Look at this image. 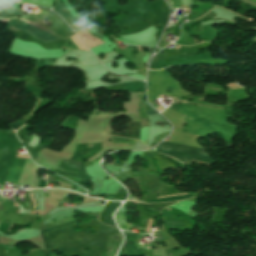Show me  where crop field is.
Returning a JSON list of instances; mask_svg holds the SVG:
<instances>
[{
	"label": "crop field",
	"instance_id": "crop-field-1",
	"mask_svg": "<svg viewBox=\"0 0 256 256\" xmlns=\"http://www.w3.org/2000/svg\"><path fill=\"white\" fill-rule=\"evenodd\" d=\"M158 147L181 151V152L193 153V154L207 155V153L204 152V149L170 143V142H162L161 144L158 145ZM160 148L157 149L158 152L168 155V156H171V157H174L184 163L198 162V163H203V164H208V165L214 163L213 160H211L209 158V156L186 154V153L170 151V150H165V149H160Z\"/></svg>",
	"mask_w": 256,
	"mask_h": 256
},
{
	"label": "crop field",
	"instance_id": "crop-field-2",
	"mask_svg": "<svg viewBox=\"0 0 256 256\" xmlns=\"http://www.w3.org/2000/svg\"><path fill=\"white\" fill-rule=\"evenodd\" d=\"M40 13H42L46 16L49 14V12H47L45 10H41ZM6 23H9L28 34L41 39L45 43L50 42V41H55V40H61V38L47 32V31H45L27 21L25 22L19 18H15L12 20H6Z\"/></svg>",
	"mask_w": 256,
	"mask_h": 256
},
{
	"label": "crop field",
	"instance_id": "crop-field-3",
	"mask_svg": "<svg viewBox=\"0 0 256 256\" xmlns=\"http://www.w3.org/2000/svg\"><path fill=\"white\" fill-rule=\"evenodd\" d=\"M140 122H131L128 123V127L131 129L129 132H125L126 135H120L117 133L112 132L111 135H117V136H122L126 138H134V139H139V134H140V128H139ZM117 136H110V139H112L114 144H135L136 141L138 140H133V139H126L122 137H117Z\"/></svg>",
	"mask_w": 256,
	"mask_h": 256
},
{
	"label": "crop field",
	"instance_id": "crop-field-4",
	"mask_svg": "<svg viewBox=\"0 0 256 256\" xmlns=\"http://www.w3.org/2000/svg\"><path fill=\"white\" fill-rule=\"evenodd\" d=\"M53 10L57 12L76 33L84 29L76 20H74L68 14L67 9L64 7V5L61 4L60 1H57L56 6Z\"/></svg>",
	"mask_w": 256,
	"mask_h": 256
},
{
	"label": "crop field",
	"instance_id": "crop-field-5",
	"mask_svg": "<svg viewBox=\"0 0 256 256\" xmlns=\"http://www.w3.org/2000/svg\"><path fill=\"white\" fill-rule=\"evenodd\" d=\"M120 205H121V203H119V202H108L107 206L105 207L103 212L100 214L99 220L109 226H113V227L117 228L114 223V220L112 218V213Z\"/></svg>",
	"mask_w": 256,
	"mask_h": 256
},
{
	"label": "crop field",
	"instance_id": "crop-field-6",
	"mask_svg": "<svg viewBox=\"0 0 256 256\" xmlns=\"http://www.w3.org/2000/svg\"><path fill=\"white\" fill-rule=\"evenodd\" d=\"M78 35L86 43V45L88 47H90V48H92V47H94L96 45L104 43L103 41H101L97 37L91 35L87 30H84V31L78 33Z\"/></svg>",
	"mask_w": 256,
	"mask_h": 256
},
{
	"label": "crop field",
	"instance_id": "crop-field-7",
	"mask_svg": "<svg viewBox=\"0 0 256 256\" xmlns=\"http://www.w3.org/2000/svg\"><path fill=\"white\" fill-rule=\"evenodd\" d=\"M81 24H83L92 34L104 38L103 33L92 23L88 22L87 20L83 19L81 16L76 18Z\"/></svg>",
	"mask_w": 256,
	"mask_h": 256
},
{
	"label": "crop field",
	"instance_id": "crop-field-8",
	"mask_svg": "<svg viewBox=\"0 0 256 256\" xmlns=\"http://www.w3.org/2000/svg\"><path fill=\"white\" fill-rule=\"evenodd\" d=\"M139 116H140V121L143 127H148V116L143 106L142 93H139Z\"/></svg>",
	"mask_w": 256,
	"mask_h": 256
},
{
	"label": "crop field",
	"instance_id": "crop-field-9",
	"mask_svg": "<svg viewBox=\"0 0 256 256\" xmlns=\"http://www.w3.org/2000/svg\"><path fill=\"white\" fill-rule=\"evenodd\" d=\"M126 91L129 92H144V84L137 82L123 83Z\"/></svg>",
	"mask_w": 256,
	"mask_h": 256
},
{
	"label": "crop field",
	"instance_id": "crop-field-10",
	"mask_svg": "<svg viewBox=\"0 0 256 256\" xmlns=\"http://www.w3.org/2000/svg\"><path fill=\"white\" fill-rule=\"evenodd\" d=\"M19 14H20L19 12L0 8V17L2 18H15Z\"/></svg>",
	"mask_w": 256,
	"mask_h": 256
},
{
	"label": "crop field",
	"instance_id": "crop-field-11",
	"mask_svg": "<svg viewBox=\"0 0 256 256\" xmlns=\"http://www.w3.org/2000/svg\"><path fill=\"white\" fill-rule=\"evenodd\" d=\"M40 1H44V0H40ZM55 1H56V0H46V3L36 1V2H35V5H37V6H42V7H46V8L51 9ZM29 3H31V4L33 5L34 1H33V0H30Z\"/></svg>",
	"mask_w": 256,
	"mask_h": 256
},
{
	"label": "crop field",
	"instance_id": "crop-field-12",
	"mask_svg": "<svg viewBox=\"0 0 256 256\" xmlns=\"http://www.w3.org/2000/svg\"><path fill=\"white\" fill-rule=\"evenodd\" d=\"M56 59H38L36 61V66H51L53 62H55Z\"/></svg>",
	"mask_w": 256,
	"mask_h": 256
},
{
	"label": "crop field",
	"instance_id": "crop-field-13",
	"mask_svg": "<svg viewBox=\"0 0 256 256\" xmlns=\"http://www.w3.org/2000/svg\"><path fill=\"white\" fill-rule=\"evenodd\" d=\"M70 38H71L72 41L77 45V47H78L79 49L88 50V48L85 46V44L82 43L76 35H74V36H72V37H70Z\"/></svg>",
	"mask_w": 256,
	"mask_h": 256
},
{
	"label": "crop field",
	"instance_id": "crop-field-14",
	"mask_svg": "<svg viewBox=\"0 0 256 256\" xmlns=\"http://www.w3.org/2000/svg\"><path fill=\"white\" fill-rule=\"evenodd\" d=\"M145 109L148 115H159L149 104L148 102H144Z\"/></svg>",
	"mask_w": 256,
	"mask_h": 256
},
{
	"label": "crop field",
	"instance_id": "crop-field-15",
	"mask_svg": "<svg viewBox=\"0 0 256 256\" xmlns=\"http://www.w3.org/2000/svg\"><path fill=\"white\" fill-rule=\"evenodd\" d=\"M26 122H28V121L21 119V120L17 121L16 123L10 125V127H12L14 130H17L20 127H22Z\"/></svg>",
	"mask_w": 256,
	"mask_h": 256
},
{
	"label": "crop field",
	"instance_id": "crop-field-16",
	"mask_svg": "<svg viewBox=\"0 0 256 256\" xmlns=\"http://www.w3.org/2000/svg\"><path fill=\"white\" fill-rule=\"evenodd\" d=\"M130 166L131 164H126L125 167L123 169H121V172H116L114 174H112L113 176H115L116 178L119 177L120 175L124 174L125 172H127L128 170H130Z\"/></svg>",
	"mask_w": 256,
	"mask_h": 256
},
{
	"label": "crop field",
	"instance_id": "crop-field-17",
	"mask_svg": "<svg viewBox=\"0 0 256 256\" xmlns=\"http://www.w3.org/2000/svg\"><path fill=\"white\" fill-rule=\"evenodd\" d=\"M30 193H32L33 199H35L34 193H33V192H30ZM30 200H32L31 194H30ZM32 201H33V203H34L33 209H35V207H36V202H35V200H32Z\"/></svg>",
	"mask_w": 256,
	"mask_h": 256
},
{
	"label": "crop field",
	"instance_id": "crop-field-18",
	"mask_svg": "<svg viewBox=\"0 0 256 256\" xmlns=\"http://www.w3.org/2000/svg\"><path fill=\"white\" fill-rule=\"evenodd\" d=\"M78 192H81V193H83V194H86V190H84L83 188H81V187H78V190H77Z\"/></svg>",
	"mask_w": 256,
	"mask_h": 256
},
{
	"label": "crop field",
	"instance_id": "crop-field-19",
	"mask_svg": "<svg viewBox=\"0 0 256 256\" xmlns=\"http://www.w3.org/2000/svg\"><path fill=\"white\" fill-rule=\"evenodd\" d=\"M54 181H55L54 177L51 176V175H49V177H48V182H54Z\"/></svg>",
	"mask_w": 256,
	"mask_h": 256
},
{
	"label": "crop field",
	"instance_id": "crop-field-20",
	"mask_svg": "<svg viewBox=\"0 0 256 256\" xmlns=\"http://www.w3.org/2000/svg\"><path fill=\"white\" fill-rule=\"evenodd\" d=\"M29 17H30L29 15H24V14L21 16V18H23L25 20H27Z\"/></svg>",
	"mask_w": 256,
	"mask_h": 256
},
{
	"label": "crop field",
	"instance_id": "crop-field-21",
	"mask_svg": "<svg viewBox=\"0 0 256 256\" xmlns=\"http://www.w3.org/2000/svg\"><path fill=\"white\" fill-rule=\"evenodd\" d=\"M88 215H90V216H98L99 213H90V214H88Z\"/></svg>",
	"mask_w": 256,
	"mask_h": 256
},
{
	"label": "crop field",
	"instance_id": "crop-field-22",
	"mask_svg": "<svg viewBox=\"0 0 256 256\" xmlns=\"http://www.w3.org/2000/svg\"><path fill=\"white\" fill-rule=\"evenodd\" d=\"M179 199H184V198H179ZM179 199H175V200H179ZM154 202H167V201H154ZM149 203H153V202H149Z\"/></svg>",
	"mask_w": 256,
	"mask_h": 256
},
{
	"label": "crop field",
	"instance_id": "crop-field-23",
	"mask_svg": "<svg viewBox=\"0 0 256 256\" xmlns=\"http://www.w3.org/2000/svg\"><path fill=\"white\" fill-rule=\"evenodd\" d=\"M14 205H15V209H16V210H19V208H18V204H17V203H15ZM16 212H19V211H16Z\"/></svg>",
	"mask_w": 256,
	"mask_h": 256
},
{
	"label": "crop field",
	"instance_id": "crop-field-24",
	"mask_svg": "<svg viewBox=\"0 0 256 256\" xmlns=\"http://www.w3.org/2000/svg\"><path fill=\"white\" fill-rule=\"evenodd\" d=\"M21 3H28L29 0H20Z\"/></svg>",
	"mask_w": 256,
	"mask_h": 256
},
{
	"label": "crop field",
	"instance_id": "crop-field-25",
	"mask_svg": "<svg viewBox=\"0 0 256 256\" xmlns=\"http://www.w3.org/2000/svg\"><path fill=\"white\" fill-rule=\"evenodd\" d=\"M12 227H13V225L10 224V226H9V228H8V230H7V231H9V233H10V230L12 229Z\"/></svg>",
	"mask_w": 256,
	"mask_h": 256
},
{
	"label": "crop field",
	"instance_id": "crop-field-26",
	"mask_svg": "<svg viewBox=\"0 0 256 256\" xmlns=\"http://www.w3.org/2000/svg\"><path fill=\"white\" fill-rule=\"evenodd\" d=\"M157 110H158V111H162V110H164V108H163V107L157 108Z\"/></svg>",
	"mask_w": 256,
	"mask_h": 256
},
{
	"label": "crop field",
	"instance_id": "crop-field-27",
	"mask_svg": "<svg viewBox=\"0 0 256 256\" xmlns=\"http://www.w3.org/2000/svg\"><path fill=\"white\" fill-rule=\"evenodd\" d=\"M150 223H151V220L149 221L147 231H148V230H149V228H150Z\"/></svg>",
	"mask_w": 256,
	"mask_h": 256
},
{
	"label": "crop field",
	"instance_id": "crop-field-28",
	"mask_svg": "<svg viewBox=\"0 0 256 256\" xmlns=\"http://www.w3.org/2000/svg\"><path fill=\"white\" fill-rule=\"evenodd\" d=\"M16 157H20V158H27V157H21V156H18V155H16ZM28 159H30V158H28Z\"/></svg>",
	"mask_w": 256,
	"mask_h": 256
},
{
	"label": "crop field",
	"instance_id": "crop-field-29",
	"mask_svg": "<svg viewBox=\"0 0 256 256\" xmlns=\"http://www.w3.org/2000/svg\"><path fill=\"white\" fill-rule=\"evenodd\" d=\"M138 49L140 50V52H142V51H143L140 47H138Z\"/></svg>",
	"mask_w": 256,
	"mask_h": 256
},
{
	"label": "crop field",
	"instance_id": "crop-field-30",
	"mask_svg": "<svg viewBox=\"0 0 256 256\" xmlns=\"http://www.w3.org/2000/svg\"><path fill=\"white\" fill-rule=\"evenodd\" d=\"M228 86H233V84H229Z\"/></svg>",
	"mask_w": 256,
	"mask_h": 256
},
{
	"label": "crop field",
	"instance_id": "crop-field-31",
	"mask_svg": "<svg viewBox=\"0 0 256 256\" xmlns=\"http://www.w3.org/2000/svg\"><path fill=\"white\" fill-rule=\"evenodd\" d=\"M181 46L177 47L176 49L180 48Z\"/></svg>",
	"mask_w": 256,
	"mask_h": 256
},
{
	"label": "crop field",
	"instance_id": "crop-field-32",
	"mask_svg": "<svg viewBox=\"0 0 256 256\" xmlns=\"http://www.w3.org/2000/svg\"><path fill=\"white\" fill-rule=\"evenodd\" d=\"M188 14H185V17L187 16Z\"/></svg>",
	"mask_w": 256,
	"mask_h": 256
}]
</instances>
